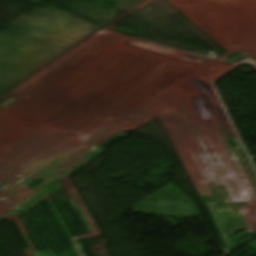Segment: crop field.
<instances>
[{"instance_id": "crop-field-1", "label": "crop field", "mask_w": 256, "mask_h": 256, "mask_svg": "<svg viewBox=\"0 0 256 256\" xmlns=\"http://www.w3.org/2000/svg\"><path fill=\"white\" fill-rule=\"evenodd\" d=\"M251 247H253L254 249H256V240L252 241L251 243L247 244Z\"/></svg>"}]
</instances>
